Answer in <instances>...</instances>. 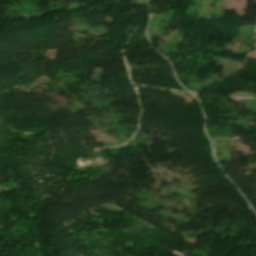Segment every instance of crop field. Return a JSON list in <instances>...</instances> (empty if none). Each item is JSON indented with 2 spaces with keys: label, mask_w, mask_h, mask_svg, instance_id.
<instances>
[{
  "label": "crop field",
  "mask_w": 256,
  "mask_h": 256,
  "mask_svg": "<svg viewBox=\"0 0 256 256\" xmlns=\"http://www.w3.org/2000/svg\"><path fill=\"white\" fill-rule=\"evenodd\" d=\"M131 6H147L145 0H130Z\"/></svg>",
  "instance_id": "8a807250"
}]
</instances>
